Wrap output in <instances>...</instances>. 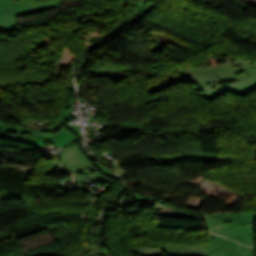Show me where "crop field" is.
Here are the masks:
<instances>
[{
    "instance_id": "crop-field-7",
    "label": "crop field",
    "mask_w": 256,
    "mask_h": 256,
    "mask_svg": "<svg viewBox=\"0 0 256 256\" xmlns=\"http://www.w3.org/2000/svg\"><path fill=\"white\" fill-rule=\"evenodd\" d=\"M57 187H60L63 191L71 190V189H77V190L81 191L82 193L85 192V193L89 194L90 196H95V192L94 191H92L90 189H87V188H85V187H83L81 185L75 184V183L70 185V186H68V185L65 186V185L61 184V185H59Z\"/></svg>"
},
{
    "instance_id": "crop-field-2",
    "label": "crop field",
    "mask_w": 256,
    "mask_h": 256,
    "mask_svg": "<svg viewBox=\"0 0 256 256\" xmlns=\"http://www.w3.org/2000/svg\"><path fill=\"white\" fill-rule=\"evenodd\" d=\"M72 118L73 114L67 112V106H63L57 123L48 128L28 129L0 123V138L33 144L38 148L45 147L51 143L62 147L76 139V137L81 136L79 125H65Z\"/></svg>"
},
{
    "instance_id": "crop-field-5",
    "label": "crop field",
    "mask_w": 256,
    "mask_h": 256,
    "mask_svg": "<svg viewBox=\"0 0 256 256\" xmlns=\"http://www.w3.org/2000/svg\"><path fill=\"white\" fill-rule=\"evenodd\" d=\"M169 256H208L207 246L164 245Z\"/></svg>"
},
{
    "instance_id": "crop-field-6",
    "label": "crop field",
    "mask_w": 256,
    "mask_h": 256,
    "mask_svg": "<svg viewBox=\"0 0 256 256\" xmlns=\"http://www.w3.org/2000/svg\"><path fill=\"white\" fill-rule=\"evenodd\" d=\"M133 250L143 256H164L163 247H133L130 246Z\"/></svg>"
},
{
    "instance_id": "crop-field-4",
    "label": "crop field",
    "mask_w": 256,
    "mask_h": 256,
    "mask_svg": "<svg viewBox=\"0 0 256 256\" xmlns=\"http://www.w3.org/2000/svg\"><path fill=\"white\" fill-rule=\"evenodd\" d=\"M59 1L13 6L12 0H0V33H11L18 29L16 17L31 13L59 9Z\"/></svg>"
},
{
    "instance_id": "crop-field-3",
    "label": "crop field",
    "mask_w": 256,
    "mask_h": 256,
    "mask_svg": "<svg viewBox=\"0 0 256 256\" xmlns=\"http://www.w3.org/2000/svg\"><path fill=\"white\" fill-rule=\"evenodd\" d=\"M62 164L61 167L69 170L75 177L76 182L80 184H85L89 181H95L98 184H103L110 179H118L116 175L110 172L109 169L105 168L100 162H94L97 167L101 170L100 172L90 174L87 176L79 177L78 173L83 172L84 169L89 164L85 156L80 152L78 143L68 150L61 153Z\"/></svg>"
},
{
    "instance_id": "crop-field-1",
    "label": "crop field",
    "mask_w": 256,
    "mask_h": 256,
    "mask_svg": "<svg viewBox=\"0 0 256 256\" xmlns=\"http://www.w3.org/2000/svg\"><path fill=\"white\" fill-rule=\"evenodd\" d=\"M180 82H192V92L209 101L226 92L243 97L256 90V61L238 58L216 66L185 69L176 77L147 91L152 94Z\"/></svg>"
},
{
    "instance_id": "crop-field-8",
    "label": "crop field",
    "mask_w": 256,
    "mask_h": 256,
    "mask_svg": "<svg viewBox=\"0 0 256 256\" xmlns=\"http://www.w3.org/2000/svg\"><path fill=\"white\" fill-rule=\"evenodd\" d=\"M59 161L60 159H56L53 161L51 167L47 170H44L43 173H46V174H51L52 172H59V173H64V174H68V172L64 171L63 169H61L59 167Z\"/></svg>"
}]
</instances>
